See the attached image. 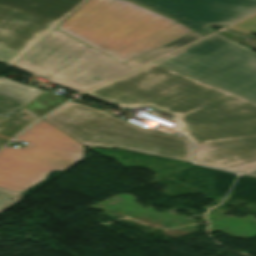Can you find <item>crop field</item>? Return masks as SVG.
Instances as JSON below:
<instances>
[{
    "mask_svg": "<svg viewBox=\"0 0 256 256\" xmlns=\"http://www.w3.org/2000/svg\"><path fill=\"white\" fill-rule=\"evenodd\" d=\"M83 94L132 109L174 115L195 145L194 163L243 173L256 168V104L156 63Z\"/></svg>",
    "mask_w": 256,
    "mask_h": 256,
    "instance_id": "1",
    "label": "crop field"
},
{
    "mask_svg": "<svg viewBox=\"0 0 256 256\" xmlns=\"http://www.w3.org/2000/svg\"><path fill=\"white\" fill-rule=\"evenodd\" d=\"M46 121L86 147L121 148L189 162L192 145L185 138L150 132L112 115L67 102Z\"/></svg>",
    "mask_w": 256,
    "mask_h": 256,
    "instance_id": "2",
    "label": "crop field"
},
{
    "mask_svg": "<svg viewBox=\"0 0 256 256\" xmlns=\"http://www.w3.org/2000/svg\"><path fill=\"white\" fill-rule=\"evenodd\" d=\"M176 23L123 0H88L56 29L105 53Z\"/></svg>",
    "mask_w": 256,
    "mask_h": 256,
    "instance_id": "3",
    "label": "crop field"
},
{
    "mask_svg": "<svg viewBox=\"0 0 256 256\" xmlns=\"http://www.w3.org/2000/svg\"><path fill=\"white\" fill-rule=\"evenodd\" d=\"M154 62L256 103V54L217 34Z\"/></svg>",
    "mask_w": 256,
    "mask_h": 256,
    "instance_id": "4",
    "label": "crop field"
},
{
    "mask_svg": "<svg viewBox=\"0 0 256 256\" xmlns=\"http://www.w3.org/2000/svg\"><path fill=\"white\" fill-rule=\"evenodd\" d=\"M15 140H26L36 150L6 146L0 151L2 188L24 193L52 171H65L84 159V146L43 119Z\"/></svg>",
    "mask_w": 256,
    "mask_h": 256,
    "instance_id": "5",
    "label": "crop field"
},
{
    "mask_svg": "<svg viewBox=\"0 0 256 256\" xmlns=\"http://www.w3.org/2000/svg\"><path fill=\"white\" fill-rule=\"evenodd\" d=\"M87 0H0V62L12 65Z\"/></svg>",
    "mask_w": 256,
    "mask_h": 256,
    "instance_id": "6",
    "label": "crop field"
},
{
    "mask_svg": "<svg viewBox=\"0 0 256 256\" xmlns=\"http://www.w3.org/2000/svg\"><path fill=\"white\" fill-rule=\"evenodd\" d=\"M206 35L208 25L231 24L256 13V0H132Z\"/></svg>",
    "mask_w": 256,
    "mask_h": 256,
    "instance_id": "7",
    "label": "crop field"
},
{
    "mask_svg": "<svg viewBox=\"0 0 256 256\" xmlns=\"http://www.w3.org/2000/svg\"><path fill=\"white\" fill-rule=\"evenodd\" d=\"M129 69L89 47L49 78L58 85L83 91Z\"/></svg>",
    "mask_w": 256,
    "mask_h": 256,
    "instance_id": "8",
    "label": "crop field"
},
{
    "mask_svg": "<svg viewBox=\"0 0 256 256\" xmlns=\"http://www.w3.org/2000/svg\"><path fill=\"white\" fill-rule=\"evenodd\" d=\"M87 47L55 29L13 66L49 77Z\"/></svg>",
    "mask_w": 256,
    "mask_h": 256,
    "instance_id": "9",
    "label": "crop field"
},
{
    "mask_svg": "<svg viewBox=\"0 0 256 256\" xmlns=\"http://www.w3.org/2000/svg\"><path fill=\"white\" fill-rule=\"evenodd\" d=\"M189 32L192 31L177 23L110 55L125 62Z\"/></svg>",
    "mask_w": 256,
    "mask_h": 256,
    "instance_id": "10",
    "label": "crop field"
},
{
    "mask_svg": "<svg viewBox=\"0 0 256 256\" xmlns=\"http://www.w3.org/2000/svg\"><path fill=\"white\" fill-rule=\"evenodd\" d=\"M40 92L0 76V116L8 118Z\"/></svg>",
    "mask_w": 256,
    "mask_h": 256,
    "instance_id": "11",
    "label": "crop field"
},
{
    "mask_svg": "<svg viewBox=\"0 0 256 256\" xmlns=\"http://www.w3.org/2000/svg\"><path fill=\"white\" fill-rule=\"evenodd\" d=\"M38 118L35 114L24 108L15 116L5 121L0 126V147L30 126Z\"/></svg>",
    "mask_w": 256,
    "mask_h": 256,
    "instance_id": "12",
    "label": "crop field"
},
{
    "mask_svg": "<svg viewBox=\"0 0 256 256\" xmlns=\"http://www.w3.org/2000/svg\"><path fill=\"white\" fill-rule=\"evenodd\" d=\"M200 37H202V36L195 33V32L189 33V34H187L183 37H180V38H178L174 41H171V42H169V43H167V44H165V45H163V46H161V47H159V48H157V49H155L151 52H148V53H146L144 55H141L137 58L129 60L125 63L134 67V68H136V67H138V66H140V65H142V64H144V63H146V62H148V61H150L154 58H157V57H159V56H161V55H163L167 52H170V51H172V50H174V49H176L180 46H183V45H185V44H187L191 41H194V40H196Z\"/></svg>",
    "mask_w": 256,
    "mask_h": 256,
    "instance_id": "13",
    "label": "crop field"
},
{
    "mask_svg": "<svg viewBox=\"0 0 256 256\" xmlns=\"http://www.w3.org/2000/svg\"><path fill=\"white\" fill-rule=\"evenodd\" d=\"M22 193L0 188V213L18 202Z\"/></svg>",
    "mask_w": 256,
    "mask_h": 256,
    "instance_id": "14",
    "label": "crop field"
},
{
    "mask_svg": "<svg viewBox=\"0 0 256 256\" xmlns=\"http://www.w3.org/2000/svg\"><path fill=\"white\" fill-rule=\"evenodd\" d=\"M229 29L256 34V16L236 24Z\"/></svg>",
    "mask_w": 256,
    "mask_h": 256,
    "instance_id": "15",
    "label": "crop field"
},
{
    "mask_svg": "<svg viewBox=\"0 0 256 256\" xmlns=\"http://www.w3.org/2000/svg\"><path fill=\"white\" fill-rule=\"evenodd\" d=\"M24 149H28V150H32V151L35 150L34 146L31 144H28L27 146H25Z\"/></svg>",
    "mask_w": 256,
    "mask_h": 256,
    "instance_id": "16",
    "label": "crop field"
},
{
    "mask_svg": "<svg viewBox=\"0 0 256 256\" xmlns=\"http://www.w3.org/2000/svg\"><path fill=\"white\" fill-rule=\"evenodd\" d=\"M246 175L256 177V171L245 173Z\"/></svg>",
    "mask_w": 256,
    "mask_h": 256,
    "instance_id": "17",
    "label": "crop field"
},
{
    "mask_svg": "<svg viewBox=\"0 0 256 256\" xmlns=\"http://www.w3.org/2000/svg\"><path fill=\"white\" fill-rule=\"evenodd\" d=\"M5 120V118H0V123L2 122V121H4Z\"/></svg>",
    "mask_w": 256,
    "mask_h": 256,
    "instance_id": "18",
    "label": "crop field"
}]
</instances>
